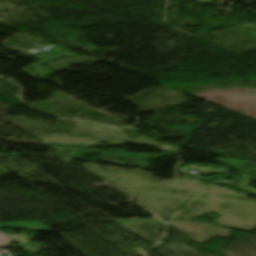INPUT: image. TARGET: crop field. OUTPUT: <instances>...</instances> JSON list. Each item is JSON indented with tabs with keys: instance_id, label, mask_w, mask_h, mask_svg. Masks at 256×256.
I'll return each mask as SVG.
<instances>
[{
	"instance_id": "8a807250",
	"label": "crop field",
	"mask_w": 256,
	"mask_h": 256,
	"mask_svg": "<svg viewBox=\"0 0 256 256\" xmlns=\"http://www.w3.org/2000/svg\"><path fill=\"white\" fill-rule=\"evenodd\" d=\"M11 241L0 232V243H10Z\"/></svg>"
}]
</instances>
